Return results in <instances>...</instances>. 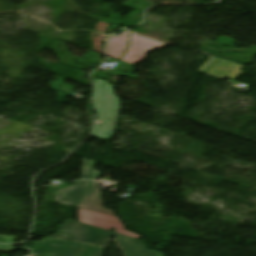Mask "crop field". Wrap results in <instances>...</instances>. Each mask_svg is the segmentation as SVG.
<instances>
[{"label":"crop field","mask_w":256,"mask_h":256,"mask_svg":"<svg viewBox=\"0 0 256 256\" xmlns=\"http://www.w3.org/2000/svg\"><path fill=\"white\" fill-rule=\"evenodd\" d=\"M54 197H55L54 202L61 203V204H67V205L74 206V207H76V204L78 203V201L80 199L79 196H75V195H71V194H67V193H63V192H59V191L54 192ZM59 198H62L64 200H58Z\"/></svg>","instance_id":"obj_9"},{"label":"crop field","mask_w":256,"mask_h":256,"mask_svg":"<svg viewBox=\"0 0 256 256\" xmlns=\"http://www.w3.org/2000/svg\"><path fill=\"white\" fill-rule=\"evenodd\" d=\"M106 248L81 244L75 256H103Z\"/></svg>","instance_id":"obj_8"},{"label":"crop field","mask_w":256,"mask_h":256,"mask_svg":"<svg viewBox=\"0 0 256 256\" xmlns=\"http://www.w3.org/2000/svg\"><path fill=\"white\" fill-rule=\"evenodd\" d=\"M78 246L79 244L74 242L44 238L34 243L30 256H73Z\"/></svg>","instance_id":"obj_2"},{"label":"crop field","mask_w":256,"mask_h":256,"mask_svg":"<svg viewBox=\"0 0 256 256\" xmlns=\"http://www.w3.org/2000/svg\"><path fill=\"white\" fill-rule=\"evenodd\" d=\"M95 163L93 161H90L89 160V165L91 167V171H92V177L94 180H96L99 176H100V173L99 172H94L92 166L94 165Z\"/></svg>","instance_id":"obj_13"},{"label":"crop field","mask_w":256,"mask_h":256,"mask_svg":"<svg viewBox=\"0 0 256 256\" xmlns=\"http://www.w3.org/2000/svg\"><path fill=\"white\" fill-rule=\"evenodd\" d=\"M14 250H25V251H29L28 249H25V248H14Z\"/></svg>","instance_id":"obj_14"},{"label":"crop field","mask_w":256,"mask_h":256,"mask_svg":"<svg viewBox=\"0 0 256 256\" xmlns=\"http://www.w3.org/2000/svg\"><path fill=\"white\" fill-rule=\"evenodd\" d=\"M89 183H90V181H79L78 184H75V185L70 186V187H64L59 191H63V192H67V193L82 196L84 190L87 188Z\"/></svg>","instance_id":"obj_10"},{"label":"crop field","mask_w":256,"mask_h":256,"mask_svg":"<svg viewBox=\"0 0 256 256\" xmlns=\"http://www.w3.org/2000/svg\"><path fill=\"white\" fill-rule=\"evenodd\" d=\"M53 236L98 245H104L110 236H115L125 256H162V253L146 250L138 240L73 220L64 221Z\"/></svg>","instance_id":"obj_1"},{"label":"crop field","mask_w":256,"mask_h":256,"mask_svg":"<svg viewBox=\"0 0 256 256\" xmlns=\"http://www.w3.org/2000/svg\"><path fill=\"white\" fill-rule=\"evenodd\" d=\"M83 162H84V165H83V167L81 169L83 179H91L90 170H89V167H88L87 160L83 159ZM85 165H87L86 168H85Z\"/></svg>","instance_id":"obj_11"},{"label":"crop field","mask_w":256,"mask_h":256,"mask_svg":"<svg viewBox=\"0 0 256 256\" xmlns=\"http://www.w3.org/2000/svg\"><path fill=\"white\" fill-rule=\"evenodd\" d=\"M103 200L101 192L97 189L95 182L89 186L86 194L82 197L77 207L113 215L111 210L102 207Z\"/></svg>","instance_id":"obj_6"},{"label":"crop field","mask_w":256,"mask_h":256,"mask_svg":"<svg viewBox=\"0 0 256 256\" xmlns=\"http://www.w3.org/2000/svg\"><path fill=\"white\" fill-rule=\"evenodd\" d=\"M128 37H129V31L123 33L121 36L117 38L112 36V38L110 39L106 47L108 55L120 59V57L125 52L127 42H128Z\"/></svg>","instance_id":"obj_7"},{"label":"crop field","mask_w":256,"mask_h":256,"mask_svg":"<svg viewBox=\"0 0 256 256\" xmlns=\"http://www.w3.org/2000/svg\"><path fill=\"white\" fill-rule=\"evenodd\" d=\"M78 219L80 222H84V223H87L96 227H100L106 230L112 227H115L116 233L123 234L135 239L139 237L135 234H132L124 230L122 223L119 221L117 217H114V216L78 208Z\"/></svg>","instance_id":"obj_3"},{"label":"crop field","mask_w":256,"mask_h":256,"mask_svg":"<svg viewBox=\"0 0 256 256\" xmlns=\"http://www.w3.org/2000/svg\"><path fill=\"white\" fill-rule=\"evenodd\" d=\"M219 58L214 57L201 71H207ZM241 65L220 59L207 73L234 80L242 72L239 70Z\"/></svg>","instance_id":"obj_5"},{"label":"crop field","mask_w":256,"mask_h":256,"mask_svg":"<svg viewBox=\"0 0 256 256\" xmlns=\"http://www.w3.org/2000/svg\"><path fill=\"white\" fill-rule=\"evenodd\" d=\"M166 45L160 44L131 33L130 44L126 54L121 58L122 61L137 64L144 60L147 50H154L155 48H162Z\"/></svg>","instance_id":"obj_4"},{"label":"crop field","mask_w":256,"mask_h":256,"mask_svg":"<svg viewBox=\"0 0 256 256\" xmlns=\"http://www.w3.org/2000/svg\"><path fill=\"white\" fill-rule=\"evenodd\" d=\"M16 237L0 235V243H15Z\"/></svg>","instance_id":"obj_12"}]
</instances>
